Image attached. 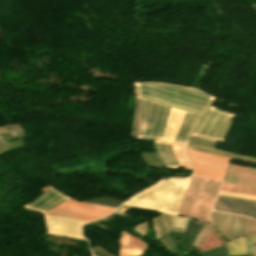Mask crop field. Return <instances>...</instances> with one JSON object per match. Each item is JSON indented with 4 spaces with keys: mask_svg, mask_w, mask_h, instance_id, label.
Segmentation results:
<instances>
[{
    "mask_svg": "<svg viewBox=\"0 0 256 256\" xmlns=\"http://www.w3.org/2000/svg\"><path fill=\"white\" fill-rule=\"evenodd\" d=\"M114 209L112 207L82 203L70 198L45 214L91 221L109 214Z\"/></svg>",
    "mask_w": 256,
    "mask_h": 256,
    "instance_id": "dd49c442",
    "label": "crop field"
},
{
    "mask_svg": "<svg viewBox=\"0 0 256 256\" xmlns=\"http://www.w3.org/2000/svg\"><path fill=\"white\" fill-rule=\"evenodd\" d=\"M68 198H70V197H68V196L62 194L61 192L52 188V189L44 192L42 195H40L34 201H32L24 206L27 209L43 213Z\"/></svg>",
    "mask_w": 256,
    "mask_h": 256,
    "instance_id": "28ad6ade",
    "label": "crop field"
},
{
    "mask_svg": "<svg viewBox=\"0 0 256 256\" xmlns=\"http://www.w3.org/2000/svg\"><path fill=\"white\" fill-rule=\"evenodd\" d=\"M147 222H144V223H141V224L137 225L135 227V229L138 230L139 232H141L142 234H145ZM153 227H154V230H155L157 238H159L160 236H159V233H158L157 226H156L154 218H153Z\"/></svg>",
    "mask_w": 256,
    "mask_h": 256,
    "instance_id": "a9b5d70f",
    "label": "crop field"
},
{
    "mask_svg": "<svg viewBox=\"0 0 256 256\" xmlns=\"http://www.w3.org/2000/svg\"><path fill=\"white\" fill-rule=\"evenodd\" d=\"M14 126L18 130V132L21 134V136H25V133L21 125H14ZM14 126H8L7 129L10 131V133L13 135L14 138L20 137V134L17 132Z\"/></svg>",
    "mask_w": 256,
    "mask_h": 256,
    "instance_id": "00972430",
    "label": "crop field"
},
{
    "mask_svg": "<svg viewBox=\"0 0 256 256\" xmlns=\"http://www.w3.org/2000/svg\"><path fill=\"white\" fill-rule=\"evenodd\" d=\"M44 215L48 234L68 236L86 240L81 235V226L87 221Z\"/></svg>",
    "mask_w": 256,
    "mask_h": 256,
    "instance_id": "5a996713",
    "label": "crop field"
},
{
    "mask_svg": "<svg viewBox=\"0 0 256 256\" xmlns=\"http://www.w3.org/2000/svg\"><path fill=\"white\" fill-rule=\"evenodd\" d=\"M154 148L166 167H178L170 142L155 141Z\"/></svg>",
    "mask_w": 256,
    "mask_h": 256,
    "instance_id": "5142ce71",
    "label": "crop field"
},
{
    "mask_svg": "<svg viewBox=\"0 0 256 256\" xmlns=\"http://www.w3.org/2000/svg\"><path fill=\"white\" fill-rule=\"evenodd\" d=\"M220 194L256 200V196L221 191Z\"/></svg>",
    "mask_w": 256,
    "mask_h": 256,
    "instance_id": "4177f3b9",
    "label": "crop field"
},
{
    "mask_svg": "<svg viewBox=\"0 0 256 256\" xmlns=\"http://www.w3.org/2000/svg\"><path fill=\"white\" fill-rule=\"evenodd\" d=\"M230 256H240V255H230ZM244 256H254V255H244Z\"/></svg>",
    "mask_w": 256,
    "mask_h": 256,
    "instance_id": "750c4746",
    "label": "crop field"
},
{
    "mask_svg": "<svg viewBox=\"0 0 256 256\" xmlns=\"http://www.w3.org/2000/svg\"><path fill=\"white\" fill-rule=\"evenodd\" d=\"M190 177L161 180L131 197L124 204L177 214Z\"/></svg>",
    "mask_w": 256,
    "mask_h": 256,
    "instance_id": "ac0d7876",
    "label": "crop field"
},
{
    "mask_svg": "<svg viewBox=\"0 0 256 256\" xmlns=\"http://www.w3.org/2000/svg\"><path fill=\"white\" fill-rule=\"evenodd\" d=\"M228 216H229V214H226V213L212 211V220H213L214 226L223 235L225 234ZM243 218L244 217H242V216L230 214L225 238H227L229 240L231 238L239 236ZM247 219L248 218L245 217L240 236H242L244 234ZM253 222H254L253 219H250V218L248 219V223H247V227H246L244 235L251 233ZM252 233H256V220L254 222V227H253Z\"/></svg>",
    "mask_w": 256,
    "mask_h": 256,
    "instance_id": "d8731c3e",
    "label": "crop field"
},
{
    "mask_svg": "<svg viewBox=\"0 0 256 256\" xmlns=\"http://www.w3.org/2000/svg\"><path fill=\"white\" fill-rule=\"evenodd\" d=\"M221 190L256 195V189L232 186V185H226V184L222 185Z\"/></svg>",
    "mask_w": 256,
    "mask_h": 256,
    "instance_id": "bc2a9ffb",
    "label": "crop field"
},
{
    "mask_svg": "<svg viewBox=\"0 0 256 256\" xmlns=\"http://www.w3.org/2000/svg\"><path fill=\"white\" fill-rule=\"evenodd\" d=\"M169 246H170V248L172 249V251H168L169 252V254H171V253H175V252H177L176 251V249L172 246V242L170 243V239L167 237V236H163V237H161ZM174 244V243H173ZM175 245V244H174ZM175 247H176V245H175Z\"/></svg>",
    "mask_w": 256,
    "mask_h": 256,
    "instance_id": "eef30255",
    "label": "crop field"
},
{
    "mask_svg": "<svg viewBox=\"0 0 256 256\" xmlns=\"http://www.w3.org/2000/svg\"><path fill=\"white\" fill-rule=\"evenodd\" d=\"M118 242L120 245L119 256L141 255V252L145 251V249L148 247V245L143 243L138 238L123 231Z\"/></svg>",
    "mask_w": 256,
    "mask_h": 256,
    "instance_id": "22f410ed",
    "label": "crop field"
},
{
    "mask_svg": "<svg viewBox=\"0 0 256 256\" xmlns=\"http://www.w3.org/2000/svg\"><path fill=\"white\" fill-rule=\"evenodd\" d=\"M171 145L179 166L191 169L185 154V144L171 142Z\"/></svg>",
    "mask_w": 256,
    "mask_h": 256,
    "instance_id": "d9b57169",
    "label": "crop field"
},
{
    "mask_svg": "<svg viewBox=\"0 0 256 256\" xmlns=\"http://www.w3.org/2000/svg\"><path fill=\"white\" fill-rule=\"evenodd\" d=\"M221 183L192 176L178 214L198 218L201 222H210L209 213Z\"/></svg>",
    "mask_w": 256,
    "mask_h": 256,
    "instance_id": "34b2d1b8",
    "label": "crop field"
},
{
    "mask_svg": "<svg viewBox=\"0 0 256 256\" xmlns=\"http://www.w3.org/2000/svg\"><path fill=\"white\" fill-rule=\"evenodd\" d=\"M190 121H191L190 118H186V117L184 118V120H183V122L181 124V127H180V129L178 131V134H177V136H176L174 141L180 142V140H181L185 130L187 129Z\"/></svg>",
    "mask_w": 256,
    "mask_h": 256,
    "instance_id": "92a150f3",
    "label": "crop field"
},
{
    "mask_svg": "<svg viewBox=\"0 0 256 256\" xmlns=\"http://www.w3.org/2000/svg\"><path fill=\"white\" fill-rule=\"evenodd\" d=\"M201 256H226L227 255V249L226 245L223 244L217 248L211 249L209 251L200 253Z\"/></svg>",
    "mask_w": 256,
    "mask_h": 256,
    "instance_id": "214f88e0",
    "label": "crop field"
},
{
    "mask_svg": "<svg viewBox=\"0 0 256 256\" xmlns=\"http://www.w3.org/2000/svg\"><path fill=\"white\" fill-rule=\"evenodd\" d=\"M219 196H222V195H219ZM222 197H228V196H222ZM228 198H234V197H228ZM235 199H241V198H235ZM241 200H247V199H241ZM248 201H254V200H248ZM256 202V201H254Z\"/></svg>",
    "mask_w": 256,
    "mask_h": 256,
    "instance_id": "d3111659",
    "label": "crop field"
},
{
    "mask_svg": "<svg viewBox=\"0 0 256 256\" xmlns=\"http://www.w3.org/2000/svg\"><path fill=\"white\" fill-rule=\"evenodd\" d=\"M8 150V147L6 146V144L4 143L1 135H0V152L6 151Z\"/></svg>",
    "mask_w": 256,
    "mask_h": 256,
    "instance_id": "ae1a2a85",
    "label": "crop field"
},
{
    "mask_svg": "<svg viewBox=\"0 0 256 256\" xmlns=\"http://www.w3.org/2000/svg\"><path fill=\"white\" fill-rule=\"evenodd\" d=\"M229 254H246L245 242L243 237H238L228 242Z\"/></svg>",
    "mask_w": 256,
    "mask_h": 256,
    "instance_id": "733c2abd",
    "label": "crop field"
},
{
    "mask_svg": "<svg viewBox=\"0 0 256 256\" xmlns=\"http://www.w3.org/2000/svg\"><path fill=\"white\" fill-rule=\"evenodd\" d=\"M169 107L141 99L139 137L162 139Z\"/></svg>",
    "mask_w": 256,
    "mask_h": 256,
    "instance_id": "412701ff",
    "label": "crop field"
},
{
    "mask_svg": "<svg viewBox=\"0 0 256 256\" xmlns=\"http://www.w3.org/2000/svg\"><path fill=\"white\" fill-rule=\"evenodd\" d=\"M214 209L256 218V203L254 202L219 197Z\"/></svg>",
    "mask_w": 256,
    "mask_h": 256,
    "instance_id": "d1516ede",
    "label": "crop field"
},
{
    "mask_svg": "<svg viewBox=\"0 0 256 256\" xmlns=\"http://www.w3.org/2000/svg\"><path fill=\"white\" fill-rule=\"evenodd\" d=\"M135 86L136 95L139 98L187 111L185 116L193 120L182 140L185 143L213 99L189 87L156 82L135 83Z\"/></svg>",
    "mask_w": 256,
    "mask_h": 256,
    "instance_id": "8a807250",
    "label": "crop field"
},
{
    "mask_svg": "<svg viewBox=\"0 0 256 256\" xmlns=\"http://www.w3.org/2000/svg\"><path fill=\"white\" fill-rule=\"evenodd\" d=\"M232 114L210 106L197 130L195 137L223 142L232 120Z\"/></svg>",
    "mask_w": 256,
    "mask_h": 256,
    "instance_id": "f4fd0767",
    "label": "crop field"
},
{
    "mask_svg": "<svg viewBox=\"0 0 256 256\" xmlns=\"http://www.w3.org/2000/svg\"><path fill=\"white\" fill-rule=\"evenodd\" d=\"M178 218H179V217L175 216L171 225L176 226V225H177ZM186 221H187V218L180 217L177 226L184 228V227H185V224H186Z\"/></svg>",
    "mask_w": 256,
    "mask_h": 256,
    "instance_id": "730fd06b",
    "label": "crop field"
},
{
    "mask_svg": "<svg viewBox=\"0 0 256 256\" xmlns=\"http://www.w3.org/2000/svg\"><path fill=\"white\" fill-rule=\"evenodd\" d=\"M186 112L170 109L169 117L167 120L166 128L164 131L163 139L162 140H171L173 141L177 131L180 127V124L184 118Z\"/></svg>",
    "mask_w": 256,
    "mask_h": 256,
    "instance_id": "cbeb9de0",
    "label": "crop field"
},
{
    "mask_svg": "<svg viewBox=\"0 0 256 256\" xmlns=\"http://www.w3.org/2000/svg\"><path fill=\"white\" fill-rule=\"evenodd\" d=\"M160 217L162 219V222H163L164 228L166 230V233H168L170 224H171L172 219H173L174 216L167 215V214H161ZM160 217L159 216L155 217V220H156L157 226L159 228L160 235L162 236V235H165L166 233L164 231V228H163Z\"/></svg>",
    "mask_w": 256,
    "mask_h": 256,
    "instance_id": "4a817a6b",
    "label": "crop field"
},
{
    "mask_svg": "<svg viewBox=\"0 0 256 256\" xmlns=\"http://www.w3.org/2000/svg\"><path fill=\"white\" fill-rule=\"evenodd\" d=\"M187 151L195 174L223 180L231 158L189 149Z\"/></svg>",
    "mask_w": 256,
    "mask_h": 256,
    "instance_id": "e52e79f7",
    "label": "crop field"
},
{
    "mask_svg": "<svg viewBox=\"0 0 256 256\" xmlns=\"http://www.w3.org/2000/svg\"><path fill=\"white\" fill-rule=\"evenodd\" d=\"M223 183L256 188V169L230 165Z\"/></svg>",
    "mask_w": 256,
    "mask_h": 256,
    "instance_id": "3316defc",
    "label": "crop field"
},
{
    "mask_svg": "<svg viewBox=\"0 0 256 256\" xmlns=\"http://www.w3.org/2000/svg\"><path fill=\"white\" fill-rule=\"evenodd\" d=\"M211 226H212V225H209V227H208V225H203V227L200 229V231L198 232L196 238L194 239V241H193V243H192L193 246H196V245H197V243H198L200 237L202 236V234L205 232L206 228L208 227V229L206 230V232H205L204 235L202 236L200 242L205 238V236H206V234L208 233V231L210 230ZM200 242H199V243H200ZM197 246H198V245H197ZM197 246H196V247H197Z\"/></svg>",
    "mask_w": 256,
    "mask_h": 256,
    "instance_id": "dafd665d",
    "label": "crop field"
}]
</instances>
